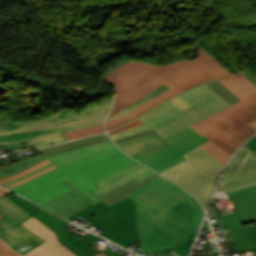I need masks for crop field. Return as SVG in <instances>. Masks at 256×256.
Returning <instances> with one entry per match:
<instances>
[{
    "label": "crop field",
    "mask_w": 256,
    "mask_h": 256,
    "mask_svg": "<svg viewBox=\"0 0 256 256\" xmlns=\"http://www.w3.org/2000/svg\"><path fill=\"white\" fill-rule=\"evenodd\" d=\"M166 145L168 143L156 133L118 144L123 151L136 159Z\"/></svg>",
    "instance_id": "obj_18"
},
{
    "label": "crop field",
    "mask_w": 256,
    "mask_h": 256,
    "mask_svg": "<svg viewBox=\"0 0 256 256\" xmlns=\"http://www.w3.org/2000/svg\"><path fill=\"white\" fill-rule=\"evenodd\" d=\"M165 141L170 145L152 152L138 160L160 172L185 160L181 154L199 145L224 165L230 156L206 137L198 135L190 127L165 139Z\"/></svg>",
    "instance_id": "obj_10"
},
{
    "label": "crop field",
    "mask_w": 256,
    "mask_h": 256,
    "mask_svg": "<svg viewBox=\"0 0 256 256\" xmlns=\"http://www.w3.org/2000/svg\"><path fill=\"white\" fill-rule=\"evenodd\" d=\"M150 133H154L153 129L148 130V131H145V132H142V133H139V134H136V135H133V136H130V137H127V138L115 140L114 142H115L116 144H118V143H121V142L130 140V139H134V138H137V137H140V136H144V135L150 134Z\"/></svg>",
    "instance_id": "obj_34"
},
{
    "label": "crop field",
    "mask_w": 256,
    "mask_h": 256,
    "mask_svg": "<svg viewBox=\"0 0 256 256\" xmlns=\"http://www.w3.org/2000/svg\"><path fill=\"white\" fill-rule=\"evenodd\" d=\"M227 195L241 211L222 216L235 243L228 250H256V184Z\"/></svg>",
    "instance_id": "obj_9"
},
{
    "label": "crop field",
    "mask_w": 256,
    "mask_h": 256,
    "mask_svg": "<svg viewBox=\"0 0 256 256\" xmlns=\"http://www.w3.org/2000/svg\"><path fill=\"white\" fill-rule=\"evenodd\" d=\"M22 224L47 241L46 243L38 246L24 256H76L63 244L58 242L54 232H52L49 228H47L34 217L30 218ZM96 256L105 255L98 254Z\"/></svg>",
    "instance_id": "obj_15"
},
{
    "label": "crop field",
    "mask_w": 256,
    "mask_h": 256,
    "mask_svg": "<svg viewBox=\"0 0 256 256\" xmlns=\"http://www.w3.org/2000/svg\"><path fill=\"white\" fill-rule=\"evenodd\" d=\"M228 106L230 104L203 84L140 116L144 124L111 137L115 140L153 128L164 139Z\"/></svg>",
    "instance_id": "obj_4"
},
{
    "label": "crop field",
    "mask_w": 256,
    "mask_h": 256,
    "mask_svg": "<svg viewBox=\"0 0 256 256\" xmlns=\"http://www.w3.org/2000/svg\"><path fill=\"white\" fill-rule=\"evenodd\" d=\"M250 124H252L253 126L256 127V121H254V122H252V123H250Z\"/></svg>",
    "instance_id": "obj_42"
},
{
    "label": "crop field",
    "mask_w": 256,
    "mask_h": 256,
    "mask_svg": "<svg viewBox=\"0 0 256 256\" xmlns=\"http://www.w3.org/2000/svg\"><path fill=\"white\" fill-rule=\"evenodd\" d=\"M113 97L83 111L57 113L39 119L13 121L9 115L0 116V146L27 143L31 149L68 141L64 132L103 123L112 107Z\"/></svg>",
    "instance_id": "obj_3"
},
{
    "label": "crop field",
    "mask_w": 256,
    "mask_h": 256,
    "mask_svg": "<svg viewBox=\"0 0 256 256\" xmlns=\"http://www.w3.org/2000/svg\"><path fill=\"white\" fill-rule=\"evenodd\" d=\"M246 146L256 153V136Z\"/></svg>",
    "instance_id": "obj_37"
},
{
    "label": "crop field",
    "mask_w": 256,
    "mask_h": 256,
    "mask_svg": "<svg viewBox=\"0 0 256 256\" xmlns=\"http://www.w3.org/2000/svg\"><path fill=\"white\" fill-rule=\"evenodd\" d=\"M254 85H256V78H254L253 76H251L248 73H243Z\"/></svg>",
    "instance_id": "obj_38"
},
{
    "label": "crop field",
    "mask_w": 256,
    "mask_h": 256,
    "mask_svg": "<svg viewBox=\"0 0 256 256\" xmlns=\"http://www.w3.org/2000/svg\"><path fill=\"white\" fill-rule=\"evenodd\" d=\"M135 163L137 162L117 148L66 166L58 167L29 182L22 185L19 184L20 186L10 190L44 205L73 191L61 182L66 179L79 191L97 203L101 200L89 192L96 188L93 183Z\"/></svg>",
    "instance_id": "obj_2"
},
{
    "label": "crop field",
    "mask_w": 256,
    "mask_h": 256,
    "mask_svg": "<svg viewBox=\"0 0 256 256\" xmlns=\"http://www.w3.org/2000/svg\"><path fill=\"white\" fill-rule=\"evenodd\" d=\"M6 196L8 198H10L12 201H14L16 204H18L25 211H27L29 214L36 217L38 220H40L42 223H44L46 226H48L51 230H53L56 233L59 242L63 243L66 247H68L77 256H94V255L98 254L99 251L107 248L104 245V246L98 248L96 251L93 250L88 245H86L85 243L80 241L76 236H73L72 234L68 233L66 230L60 228L55 223H53L52 221L47 219L45 216L38 213L30 205H28L26 202H24L22 199H20L15 194L9 193V194H6Z\"/></svg>",
    "instance_id": "obj_13"
},
{
    "label": "crop field",
    "mask_w": 256,
    "mask_h": 256,
    "mask_svg": "<svg viewBox=\"0 0 256 256\" xmlns=\"http://www.w3.org/2000/svg\"><path fill=\"white\" fill-rule=\"evenodd\" d=\"M103 254H105V255H107V256H121V255L115 253L114 251H112L111 249L108 250V251H106V252L103 253Z\"/></svg>",
    "instance_id": "obj_39"
},
{
    "label": "crop field",
    "mask_w": 256,
    "mask_h": 256,
    "mask_svg": "<svg viewBox=\"0 0 256 256\" xmlns=\"http://www.w3.org/2000/svg\"><path fill=\"white\" fill-rule=\"evenodd\" d=\"M251 251H246V256H250Z\"/></svg>",
    "instance_id": "obj_41"
},
{
    "label": "crop field",
    "mask_w": 256,
    "mask_h": 256,
    "mask_svg": "<svg viewBox=\"0 0 256 256\" xmlns=\"http://www.w3.org/2000/svg\"><path fill=\"white\" fill-rule=\"evenodd\" d=\"M130 61L129 59H124L116 64H114L113 66H111L108 70H106L101 76H103L104 78L110 73L112 72L114 69H116L117 67L123 65L124 63Z\"/></svg>",
    "instance_id": "obj_35"
},
{
    "label": "crop field",
    "mask_w": 256,
    "mask_h": 256,
    "mask_svg": "<svg viewBox=\"0 0 256 256\" xmlns=\"http://www.w3.org/2000/svg\"><path fill=\"white\" fill-rule=\"evenodd\" d=\"M53 168H55V166H53V167H51V168H49V169H47V170H45V171H43V172H41V173H39V174L33 175V176H31V177H29V178H27V179H25V180H23V181H21V182L15 183V184L10 185V186H7V187H5V188L10 189V188H12V187H14V186H16V185H19V184H22V183H24V182H26V181H29V180H31V179H33V178H35V177H37V176H39V175H41V174H43V173H45V172H47V171L53 169Z\"/></svg>",
    "instance_id": "obj_36"
},
{
    "label": "crop field",
    "mask_w": 256,
    "mask_h": 256,
    "mask_svg": "<svg viewBox=\"0 0 256 256\" xmlns=\"http://www.w3.org/2000/svg\"><path fill=\"white\" fill-rule=\"evenodd\" d=\"M79 239L82 240L83 242H85L86 244H88L89 246H91L95 242L99 241L101 238L96 236V235H93V234L87 232L86 234H84Z\"/></svg>",
    "instance_id": "obj_31"
},
{
    "label": "crop field",
    "mask_w": 256,
    "mask_h": 256,
    "mask_svg": "<svg viewBox=\"0 0 256 256\" xmlns=\"http://www.w3.org/2000/svg\"><path fill=\"white\" fill-rule=\"evenodd\" d=\"M106 140H110V138L106 134H100V135H96V136H92V137H88V138H84V139H80V140H76V141H72V142H68V143H64V144H60V145H56V146H52V147H48V148H44V149H40L39 151L45 157H47V156L55 155L58 153L66 152L69 150L77 149L80 147L88 146L91 144L99 143L102 141H106Z\"/></svg>",
    "instance_id": "obj_21"
},
{
    "label": "crop field",
    "mask_w": 256,
    "mask_h": 256,
    "mask_svg": "<svg viewBox=\"0 0 256 256\" xmlns=\"http://www.w3.org/2000/svg\"><path fill=\"white\" fill-rule=\"evenodd\" d=\"M47 163H50V161H49L48 159H46V160H44V161H42V162H40V163H38V164H36V165H34V166H32V167L26 169V170H24V171H22V172H20V173H18V174H16V175H13V176H11V177H7V178L2 179V180H0V183L9 181V180H11V179H14V178H16V177H18V176H21V175H23V174H25V173H27V172H29V171H32V170H34V169H36V168H38V167H40V166H42V165H45V164H47Z\"/></svg>",
    "instance_id": "obj_30"
},
{
    "label": "crop field",
    "mask_w": 256,
    "mask_h": 256,
    "mask_svg": "<svg viewBox=\"0 0 256 256\" xmlns=\"http://www.w3.org/2000/svg\"><path fill=\"white\" fill-rule=\"evenodd\" d=\"M158 67L183 91L214 78L232 75L202 47L194 60L176 61Z\"/></svg>",
    "instance_id": "obj_11"
},
{
    "label": "crop field",
    "mask_w": 256,
    "mask_h": 256,
    "mask_svg": "<svg viewBox=\"0 0 256 256\" xmlns=\"http://www.w3.org/2000/svg\"><path fill=\"white\" fill-rule=\"evenodd\" d=\"M41 208V207H40ZM43 209V208H42ZM46 211V210H45ZM48 212V211H47ZM48 214H50L51 216H53V217H55V218H57V219H59V220H61V221H63V222H65V223H69V222H67V221H65V220H63V219H61V218H59L58 216H56V215H54V214H52V213H50V212H48Z\"/></svg>",
    "instance_id": "obj_40"
},
{
    "label": "crop field",
    "mask_w": 256,
    "mask_h": 256,
    "mask_svg": "<svg viewBox=\"0 0 256 256\" xmlns=\"http://www.w3.org/2000/svg\"><path fill=\"white\" fill-rule=\"evenodd\" d=\"M127 196L136 202L140 248L145 254L174 246L199 228L204 215L193 196L161 176Z\"/></svg>",
    "instance_id": "obj_1"
},
{
    "label": "crop field",
    "mask_w": 256,
    "mask_h": 256,
    "mask_svg": "<svg viewBox=\"0 0 256 256\" xmlns=\"http://www.w3.org/2000/svg\"><path fill=\"white\" fill-rule=\"evenodd\" d=\"M0 214L4 217L0 220V238L16 248L29 239L38 243L45 242L21 223L32 217L7 197L0 196Z\"/></svg>",
    "instance_id": "obj_12"
},
{
    "label": "crop field",
    "mask_w": 256,
    "mask_h": 256,
    "mask_svg": "<svg viewBox=\"0 0 256 256\" xmlns=\"http://www.w3.org/2000/svg\"><path fill=\"white\" fill-rule=\"evenodd\" d=\"M210 88H212L216 93H218L222 98H224L231 105L240 101L233 93H231L227 88H225L217 80L210 83H206Z\"/></svg>",
    "instance_id": "obj_26"
},
{
    "label": "crop field",
    "mask_w": 256,
    "mask_h": 256,
    "mask_svg": "<svg viewBox=\"0 0 256 256\" xmlns=\"http://www.w3.org/2000/svg\"><path fill=\"white\" fill-rule=\"evenodd\" d=\"M140 124H142V122L137 118L136 120H134L132 122H129V123L125 124V125H122V126L116 128V129H114V130H112V131H110L108 133H109V135H111V134H114L116 132H119V131H122V130H125V129H128V128H131V127H134V126H137V125H140Z\"/></svg>",
    "instance_id": "obj_32"
},
{
    "label": "crop field",
    "mask_w": 256,
    "mask_h": 256,
    "mask_svg": "<svg viewBox=\"0 0 256 256\" xmlns=\"http://www.w3.org/2000/svg\"><path fill=\"white\" fill-rule=\"evenodd\" d=\"M249 148L246 146L238 153V155L235 157V159L232 161L229 169L226 171L224 178L222 180L225 181L231 177H233L240 169L245 157L247 156L249 152Z\"/></svg>",
    "instance_id": "obj_25"
},
{
    "label": "crop field",
    "mask_w": 256,
    "mask_h": 256,
    "mask_svg": "<svg viewBox=\"0 0 256 256\" xmlns=\"http://www.w3.org/2000/svg\"><path fill=\"white\" fill-rule=\"evenodd\" d=\"M38 244L37 242H35L34 240H29L26 243H24L23 245L19 246L18 248L14 249L16 251H18L21 254H26L27 252H29L30 250L34 249L35 247H37Z\"/></svg>",
    "instance_id": "obj_29"
},
{
    "label": "crop field",
    "mask_w": 256,
    "mask_h": 256,
    "mask_svg": "<svg viewBox=\"0 0 256 256\" xmlns=\"http://www.w3.org/2000/svg\"><path fill=\"white\" fill-rule=\"evenodd\" d=\"M163 101H161L159 98H154L152 100H150L149 102L143 104L142 106H140L139 108L135 109L134 111H132L131 113L120 117V118H116L112 121H109L107 123H105L106 126V130H110L113 129L117 126H120L124 123H127L131 120H133L134 118L142 115L143 113L147 112L148 110H150L151 108L155 107L156 105H158L159 103H161Z\"/></svg>",
    "instance_id": "obj_22"
},
{
    "label": "crop field",
    "mask_w": 256,
    "mask_h": 256,
    "mask_svg": "<svg viewBox=\"0 0 256 256\" xmlns=\"http://www.w3.org/2000/svg\"><path fill=\"white\" fill-rule=\"evenodd\" d=\"M102 132H104L103 124L67 132L66 135L68 136L69 140H72V139L90 136V135H94Z\"/></svg>",
    "instance_id": "obj_27"
},
{
    "label": "crop field",
    "mask_w": 256,
    "mask_h": 256,
    "mask_svg": "<svg viewBox=\"0 0 256 256\" xmlns=\"http://www.w3.org/2000/svg\"><path fill=\"white\" fill-rule=\"evenodd\" d=\"M183 155L187 160L160 173L195 195L206 209L224 165L200 146Z\"/></svg>",
    "instance_id": "obj_7"
},
{
    "label": "crop field",
    "mask_w": 256,
    "mask_h": 256,
    "mask_svg": "<svg viewBox=\"0 0 256 256\" xmlns=\"http://www.w3.org/2000/svg\"><path fill=\"white\" fill-rule=\"evenodd\" d=\"M78 216L94 222L93 224L104 231L99 235L124 247L140 242L135 202L128 197L110 207L102 201L95 205L91 204L67 219L72 221Z\"/></svg>",
    "instance_id": "obj_8"
},
{
    "label": "crop field",
    "mask_w": 256,
    "mask_h": 256,
    "mask_svg": "<svg viewBox=\"0 0 256 256\" xmlns=\"http://www.w3.org/2000/svg\"><path fill=\"white\" fill-rule=\"evenodd\" d=\"M160 175L158 174H153L150 177L144 179L141 182H137L136 178L97 197L99 199H101L102 201H104L106 204H108L109 206L118 202L119 200L127 197L126 195L139 189L140 187L144 186L145 184H147L148 182L152 181L153 179H155L156 177H158Z\"/></svg>",
    "instance_id": "obj_20"
},
{
    "label": "crop field",
    "mask_w": 256,
    "mask_h": 256,
    "mask_svg": "<svg viewBox=\"0 0 256 256\" xmlns=\"http://www.w3.org/2000/svg\"><path fill=\"white\" fill-rule=\"evenodd\" d=\"M197 231L184 236L174 247L166 251L169 252L173 250L178 256H188Z\"/></svg>",
    "instance_id": "obj_23"
},
{
    "label": "crop field",
    "mask_w": 256,
    "mask_h": 256,
    "mask_svg": "<svg viewBox=\"0 0 256 256\" xmlns=\"http://www.w3.org/2000/svg\"><path fill=\"white\" fill-rule=\"evenodd\" d=\"M152 170L149 168L137 163L125 170H122L110 177H107L97 183L95 185L98 187L97 189L91 191L96 197L109 191L110 189L136 177L138 182L143 180L144 178L153 174Z\"/></svg>",
    "instance_id": "obj_16"
},
{
    "label": "crop field",
    "mask_w": 256,
    "mask_h": 256,
    "mask_svg": "<svg viewBox=\"0 0 256 256\" xmlns=\"http://www.w3.org/2000/svg\"><path fill=\"white\" fill-rule=\"evenodd\" d=\"M252 183H256V154L251 151L240 172L232 179L222 183L219 190H233Z\"/></svg>",
    "instance_id": "obj_19"
},
{
    "label": "crop field",
    "mask_w": 256,
    "mask_h": 256,
    "mask_svg": "<svg viewBox=\"0 0 256 256\" xmlns=\"http://www.w3.org/2000/svg\"><path fill=\"white\" fill-rule=\"evenodd\" d=\"M167 89H169V88L166 87L165 85L160 87L159 89L155 90L154 92L150 93L149 95L145 96L144 98L140 99L139 101L133 103L132 105L128 106L127 108L123 109L122 111H120L117 114L113 115L112 117L108 118L107 121L112 120V119H114L116 117H119V116H123V115L131 112L135 108L139 107L140 105L149 101L150 99L156 97L157 95L161 94L162 92H164Z\"/></svg>",
    "instance_id": "obj_24"
},
{
    "label": "crop field",
    "mask_w": 256,
    "mask_h": 256,
    "mask_svg": "<svg viewBox=\"0 0 256 256\" xmlns=\"http://www.w3.org/2000/svg\"><path fill=\"white\" fill-rule=\"evenodd\" d=\"M242 101L191 126L228 154H232L245 140L256 132L249 123L256 120V86L242 73L218 79Z\"/></svg>",
    "instance_id": "obj_5"
},
{
    "label": "crop field",
    "mask_w": 256,
    "mask_h": 256,
    "mask_svg": "<svg viewBox=\"0 0 256 256\" xmlns=\"http://www.w3.org/2000/svg\"><path fill=\"white\" fill-rule=\"evenodd\" d=\"M114 148H117V146L112 142V140H110V141L102 142L99 144L91 145L88 147L80 148L77 150L69 151L66 153L58 154L55 156L47 157L52 163L42 166L32 172H29V173L21 176V177H18L14 180H11L9 182H6V183L0 184V185L5 187L7 185L18 182L26 177H29L33 174H36V173H38L46 168H49L53 165H55L56 167L66 165V164H69V163H72V162L105 152V151H108L111 149H114Z\"/></svg>",
    "instance_id": "obj_14"
},
{
    "label": "crop field",
    "mask_w": 256,
    "mask_h": 256,
    "mask_svg": "<svg viewBox=\"0 0 256 256\" xmlns=\"http://www.w3.org/2000/svg\"><path fill=\"white\" fill-rule=\"evenodd\" d=\"M23 200H25L28 204H30L34 209H36L37 211H39L40 213H42L43 215H45L47 218H49L50 220H52L53 222H55L57 225H59L60 227H65L67 224L51 217L50 215L47 214V212L43 211L42 209L36 207V205L30 203L28 200L22 198Z\"/></svg>",
    "instance_id": "obj_33"
},
{
    "label": "crop field",
    "mask_w": 256,
    "mask_h": 256,
    "mask_svg": "<svg viewBox=\"0 0 256 256\" xmlns=\"http://www.w3.org/2000/svg\"><path fill=\"white\" fill-rule=\"evenodd\" d=\"M63 182L75 191L44 205L45 207L65 217H68L91 203L95 204L93 201H91L89 198L79 192L76 188H74L66 180Z\"/></svg>",
    "instance_id": "obj_17"
},
{
    "label": "crop field",
    "mask_w": 256,
    "mask_h": 256,
    "mask_svg": "<svg viewBox=\"0 0 256 256\" xmlns=\"http://www.w3.org/2000/svg\"><path fill=\"white\" fill-rule=\"evenodd\" d=\"M105 79L117 90L110 116L164 84L170 89L157 96L163 101L182 92L159 68L147 62L131 61L117 68Z\"/></svg>",
    "instance_id": "obj_6"
},
{
    "label": "crop field",
    "mask_w": 256,
    "mask_h": 256,
    "mask_svg": "<svg viewBox=\"0 0 256 256\" xmlns=\"http://www.w3.org/2000/svg\"><path fill=\"white\" fill-rule=\"evenodd\" d=\"M9 192L0 188V195L6 194ZM1 218L2 216L0 215V219ZM8 247H10V245H8L5 241L0 239V256H20L17 253H15L13 250L9 249Z\"/></svg>",
    "instance_id": "obj_28"
}]
</instances>
